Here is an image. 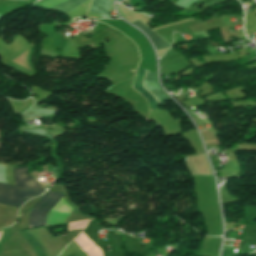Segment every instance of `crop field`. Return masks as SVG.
Wrapping results in <instances>:
<instances>
[{"label":"crop field","instance_id":"34b2d1b8","mask_svg":"<svg viewBox=\"0 0 256 256\" xmlns=\"http://www.w3.org/2000/svg\"><path fill=\"white\" fill-rule=\"evenodd\" d=\"M62 197L63 195L60 193L48 191L43 199L33 208L30 214L29 227L34 228L45 226L49 212Z\"/></svg>","mask_w":256,"mask_h":256},{"label":"crop field","instance_id":"f4fd0767","mask_svg":"<svg viewBox=\"0 0 256 256\" xmlns=\"http://www.w3.org/2000/svg\"><path fill=\"white\" fill-rule=\"evenodd\" d=\"M132 24H134L135 26H137L138 28H140L142 31H144L147 34V36L150 38V40L154 44L156 50L167 48L169 46L163 39H161L159 36H157L155 33H153L151 30H149L146 26H144L138 20Z\"/></svg>","mask_w":256,"mask_h":256},{"label":"crop field","instance_id":"ac0d7876","mask_svg":"<svg viewBox=\"0 0 256 256\" xmlns=\"http://www.w3.org/2000/svg\"><path fill=\"white\" fill-rule=\"evenodd\" d=\"M144 69H139L137 71V75L134 80L133 88L141 93L146 99L149 100L152 107L155 108L159 105V103H163L164 100H169L167 96L163 93V91L159 88L156 80L154 79V73L150 71H146L147 75L145 74ZM144 74L146 75L144 86L160 101H158L146 88V90L159 102H157L142 86V81L144 78ZM160 103V104H161Z\"/></svg>","mask_w":256,"mask_h":256},{"label":"crop field","instance_id":"8a807250","mask_svg":"<svg viewBox=\"0 0 256 256\" xmlns=\"http://www.w3.org/2000/svg\"><path fill=\"white\" fill-rule=\"evenodd\" d=\"M14 184L0 183V204L19 208L27 200L37 197L45 192L27 174V166L14 168Z\"/></svg>","mask_w":256,"mask_h":256},{"label":"crop field","instance_id":"5a996713","mask_svg":"<svg viewBox=\"0 0 256 256\" xmlns=\"http://www.w3.org/2000/svg\"><path fill=\"white\" fill-rule=\"evenodd\" d=\"M90 17H93V16H90Z\"/></svg>","mask_w":256,"mask_h":256},{"label":"crop field","instance_id":"412701ff","mask_svg":"<svg viewBox=\"0 0 256 256\" xmlns=\"http://www.w3.org/2000/svg\"><path fill=\"white\" fill-rule=\"evenodd\" d=\"M63 1H65V0H42V1H39V2L35 3L34 5H32L31 8H33L35 6H42V7L50 8V7L57 5ZM85 1H87V0H67L57 6L52 7V9L68 13L69 11L73 10L74 8H76L80 4L84 3Z\"/></svg>","mask_w":256,"mask_h":256},{"label":"crop field","instance_id":"d8731c3e","mask_svg":"<svg viewBox=\"0 0 256 256\" xmlns=\"http://www.w3.org/2000/svg\"><path fill=\"white\" fill-rule=\"evenodd\" d=\"M3 232V231H2ZM2 232H0V233H2Z\"/></svg>","mask_w":256,"mask_h":256},{"label":"crop field","instance_id":"dd49c442","mask_svg":"<svg viewBox=\"0 0 256 256\" xmlns=\"http://www.w3.org/2000/svg\"><path fill=\"white\" fill-rule=\"evenodd\" d=\"M109 0H93L91 4L90 11L101 15V18H110L108 15V10L110 7Z\"/></svg>","mask_w":256,"mask_h":256},{"label":"crop field","instance_id":"e52e79f7","mask_svg":"<svg viewBox=\"0 0 256 256\" xmlns=\"http://www.w3.org/2000/svg\"><path fill=\"white\" fill-rule=\"evenodd\" d=\"M19 234L27 240L30 246L35 250L37 256H45L41 245L27 231L20 232Z\"/></svg>","mask_w":256,"mask_h":256}]
</instances>
